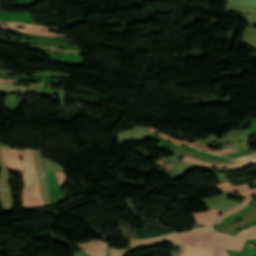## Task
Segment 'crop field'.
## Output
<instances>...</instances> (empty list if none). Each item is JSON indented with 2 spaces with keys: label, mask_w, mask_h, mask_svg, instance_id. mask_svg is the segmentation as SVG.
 <instances>
[{
  "label": "crop field",
  "mask_w": 256,
  "mask_h": 256,
  "mask_svg": "<svg viewBox=\"0 0 256 256\" xmlns=\"http://www.w3.org/2000/svg\"><path fill=\"white\" fill-rule=\"evenodd\" d=\"M212 232L210 228H202L166 236L168 239L186 242L181 256H216L211 247L204 245V239Z\"/></svg>",
  "instance_id": "crop-field-1"
},
{
  "label": "crop field",
  "mask_w": 256,
  "mask_h": 256,
  "mask_svg": "<svg viewBox=\"0 0 256 256\" xmlns=\"http://www.w3.org/2000/svg\"><path fill=\"white\" fill-rule=\"evenodd\" d=\"M246 240L243 239H237L225 235L218 234L214 232L209 237L206 238L205 244L214 246V247H221V248H227V249H233V250H242L243 243ZM214 252L217 254V256H229L228 253L225 251V249L221 248H214Z\"/></svg>",
  "instance_id": "crop-field-2"
},
{
  "label": "crop field",
  "mask_w": 256,
  "mask_h": 256,
  "mask_svg": "<svg viewBox=\"0 0 256 256\" xmlns=\"http://www.w3.org/2000/svg\"><path fill=\"white\" fill-rule=\"evenodd\" d=\"M0 24L17 26V27H23V28H29V29H35V30L50 31L49 27H45V26H42V25H35V24H25V23H17V22H3V21H0ZM0 27H3L4 30H8V31H16V32H22V33L49 35V36H55V37H66V35H56V34H54L52 32L17 29V28L5 27V26H0Z\"/></svg>",
  "instance_id": "crop-field-3"
},
{
  "label": "crop field",
  "mask_w": 256,
  "mask_h": 256,
  "mask_svg": "<svg viewBox=\"0 0 256 256\" xmlns=\"http://www.w3.org/2000/svg\"><path fill=\"white\" fill-rule=\"evenodd\" d=\"M23 209L43 206L42 197L40 194L38 182L33 187L21 191Z\"/></svg>",
  "instance_id": "crop-field-4"
},
{
  "label": "crop field",
  "mask_w": 256,
  "mask_h": 256,
  "mask_svg": "<svg viewBox=\"0 0 256 256\" xmlns=\"http://www.w3.org/2000/svg\"><path fill=\"white\" fill-rule=\"evenodd\" d=\"M22 159L24 162L23 168H24V183L25 187L31 185L34 180L37 178L34 168V158H33V152L30 149L22 150Z\"/></svg>",
  "instance_id": "crop-field-5"
},
{
  "label": "crop field",
  "mask_w": 256,
  "mask_h": 256,
  "mask_svg": "<svg viewBox=\"0 0 256 256\" xmlns=\"http://www.w3.org/2000/svg\"><path fill=\"white\" fill-rule=\"evenodd\" d=\"M0 149L2 151V155L7 168L23 175V169H22L23 163H22L20 151L13 150V149H6V148H0Z\"/></svg>",
  "instance_id": "crop-field-6"
},
{
  "label": "crop field",
  "mask_w": 256,
  "mask_h": 256,
  "mask_svg": "<svg viewBox=\"0 0 256 256\" xmlns=\"http://www.w3.org/2000/svg\"><path fill=\"white\" fill-rule=\"evenodd\" d=\"M221 212L218 209L213 210H207V211H201L197 213H193V216L196 220V222L205 224L207 226H212L215 219Z\"/></svg>",
  "instance_id": "crop-field-7"
},
{
  "label": "crop field",
  "mask_w": 256,
  "mask_h": 256,
  "mask_svg": "<svg viewBox=\"0 0 256 256\" xmlns=\"http://www.w3.org/2000/svg\"><path fill=\"white\" fill-rule=\"evenodd\" d=\"M87 253L91 256H105V244L101 241H90L85 244H80Z\"/></svg>",
  "instance_id": "crop-field-8"
},
{
  "label": "crop field",
  "mask_w": 256,
  "mask_h": 256,
  "mask_svg": "<svg viewBox=\"0 0 256 256\" xmlns=\"http://www.w3.org/2000/svg\"><path fill=\"white\" fill-rule=\"evenodd\" d=\"M182 162L188 163V164L200 165V166H208V167L234 168V167L244 166V165H247V164H249L251 162H255V161H247V162L235 163V164H213V163H207V162L195 160V159L188 158V157L184 156Z\"/></svg>",
  "instance_id": "crop-field-9"
},
{
  "label": "crop field",
  "mask_w": 256,
  "mask_h": 256,
  "mask_svg": "<svg viewBox=\"0 0 256 256\" xmlns=\"http://www.w3.org/2000/svg\"><path fill=\"white\" fill-rule=\"evenodd\" d=\"M32 90L37 91V89L27 88V86L1 85L0 84V94H6V93H33Z\"/></svg>",
  "instance_id": "crop-field-10"
},
{
  "label": "crop field",
  "mask_w": 256,
  "mask_h": 256,
  "mask_svg": "<svg viewBox=\"0 0 256 256\" xmlns=\"http://www.w3.org/2000/svg\"><path fill=\"white\" fill-rule=\"evenodd\" d=\"M129 242H130V246H132V245H141V244H152V243L170 242V243H173L175 245H179L182 248H183V246L185 244L183 242L167 240V237H165V236L160 237V238H156V239H144V240L129 241Z\"/></svg>",
  "instance_id": "crop-field-11"
},
{
  "label": "crop field",
  "mask_w": 256,
  "mask_h": 256,
  "mask_svg": "<svg viewBox=\"0 0 256 256\" xmlns=\"http://www.w3.org/2000/svg\"><path fill=\"white\" fill-rule=\"evenodd\" d=\"M242 42L256 48V28L247 26L242 37Z\"/></svg>",
  "instance_id": "crop-field-12"
},
{
  "label": "crop field",
  "mask_w": 256,
  "mask_h": 256,
  "mask_svg": "<svg viewBox=\"0 0 256 256\" xmlns=\"http://www.w3.org/2000/svg\"><path fill=\"white\" fill-rule=\"evenodd\" d=\"M254 206H256V201L255 202H252L249 206L245 207L244 209L240 210L239 212L231 215V216H228L226 217L225 219H223L220 223H218L216 226L212 227L213 229H218L220 226H222L223 224L229 222L230 220L232 219H235L239 216H241L242 214L248 212L250 209H252Z\"/></svg>",
  "instance_id": "crop-field-13"
},
{
  "label": "crop field",
  "mask_w": 256,
  "mask_h": 256,
  "mask_svg": "<svg viewBox=\"0 0 256 256\" xmlns=\"http://www.w3.org/2000/svg\"><path fill=\"white\" fill-rule=\"evenodd\" d=\"M247 190H251L247 184L232 186L230 183H223V184H219L218 186V191H247Z\"/></svg>",
  "instance_id": "crop-field-14"
},
{
  "label": "crop field",
  "mask_w": 256,
  "mask_h": 256,
  "mask_svg": "<svg viewBox=\"0 0 256 256\" xmlns=\"http://www.w3.org/2000/svg\"><path fill=\"white\" fill-rule=\"evenodd\" d=\"M226 12H242L256 15V7L249 6H228L225 8Z\"/></svg>",
  "instance_id": "crop-field-15"
},
{
  "label": "crop field",
  "mask_w": 256,
  "mask_h": 256,
  "mask_svg": "<svg viewBox=\"0 0 256 256\" xmlns=\"http://www.w3.org/2000/svg\"><path fill=\"white\" fill-rule=\"evenodd\" d=\"M252 195H253V194H252ZM252 195H251V196H252ZM254 195L256 196V193H255ZM251 196H249L248 198L244 199L241 204L237 205L236 207L232 208L231 210H229V211L225 212L223 215H221V216L218 218V220H217L216 223H218V222H219L220 220H222L224 217H226V216H228V215H230V214H232V213H234V212L240 210V209L243 208L244 206L248 205V204L252 201V197H251ZM219 223H220V222H219Z\"/></svg>",
  "instance_id": "crop-field-16"
},
{
  "label": "crop field",
  "mask_w": 256,
  "mask_h": 256,
  "mask_svg": "<svg viewBox=\"0 0 256 256\" xmlns=\"http://www.w3.org/2000/svg\"><path fill=\"white\" fill-rule=\"evenodd\" d=\"M192 146H195V147H198L204 151H207V152H210V153H214V154H218V155H225V154H229V153H234L236 152L235 149H227V150H221V151H216V150H211V149H208L204 146H201L197 143H194L192 144Z\"/></svg>",
  "instance_id": "crop-field-17"
},
{
  "label": "crop field",
  "mask_w": 256,
  "mask_h": 256,
  "mask_svg": "<svg viewBox=\"0 0 256 256\" xmlns=\"http://www.w3.org/2000/svg\"><path fill=\"white\" fill-rule=\"evenodd\" d=\"M150 130L153 131L154 133H156L157 135H159L160 137H162V138H164V139H166V140H168V141H170V142H173L172 144H178V145H183V146H190V145H189L187 142H185V141L174 140L175 138L172 139V138H170V137H168V136H166V135H164V134H162V133H160V132H158V131L152 129L151 127H150Z\"/></svg>",
  "instance_id": "crop-field-18"
},
{
  "label": "crop field",
  "mask_w": 256,
  "mask_h": 256,
  "mask_svg": "<svg viewBox=\"0 0 256 256\" xmlns=\"http://www.w3.org/2000/svg\"><path fill=\"white\" fill-rule=\"evenodd\" d=\"M187 156H190L195 159L203 160V161H208V162H218V163H234L235 161L232 160H215V159H210L202 156H198L195 154H187Z\"/></svg>",
  "instance_id": "crop-field-19"
},
{
  "label": "crop field",
  "mask_w": 256,
  "mask_h": 256,
  "mask_svg": "<svg viewBox=\"0 0 256 256\" xmlns=\"http://www.w3.org/2000/svg\"><path fill=\"white\" fill-rule=\"evenodd\" d=\"M254 233H256V225H254L250 228H247L245 230H242V231L236 233L234 236L246 238Z\"/></svg>",
  "instance_id": "crop-field-20"
},
{
  "label": "crop field",
  "mask_w": 256,
  "mask_h": 256,
  "mask_svg": "<svg viewBox=\"0 0 256 256\" xmlns=\"http://www.w3.org/2000/svg\"><path fill=\"white\" fill-rule=\"evenodd\" d=\"M27 48L30 49H41V50H52L56 51L55 47H50V46H37V45H26Z\"/></svg>",
  "instance_id": "crop-field-21"
},
{
  "label": "crop field",
  "mask_w": 256,
  "mask_h": 256,
  "mask_svg": "<svg viewBox=\"0 0 256 256\" xmlns=\"http://www.w3.org/2000/svg\"><path fill=\"white\" fill-rule=\"evenodd\" d=\"M111 256H123L125 253L129 252V249H124V250H116V249H111Z\"/></svg>",
  "instance_id": "crop-field-22"
},
{
  "label": "crop field",
  "mask_w": 256,
  "mask_h": 256,
  "mask_svg": "<svg viewBox=\"0 0 256 256\" xmlns=\"http://www.w3.org/2000/svg\"><path fill=\"white\" fill-rule=\"evenodd\" d=\"M56 174H57V179H58V183H59V184L67 181L64 171L58 172V173H56Z\"/></svg>",
  "instance_id": "crop-field-23"
},
{
  "label": "crop field",
  "mask_w": 256,
  "mask_h": 256,
  "mask_svg": "<svg viewBox=\"0 0 256 256\" xmlns=\"http://www.w3.org/2000/svg\"><path fill=\"white\" fill-rule=\"evenodd\" d=\"M256 157V153H253L251 155H248V156H244V157H241V158H237L236 160H247V159H253Z\"/></svg>",
  "instance_id": "crop-field-24"
},
{
  "label": "crop field",
  "mask_w": 256,
  "mask_h": 256,
  "mask_svg": "<svg viewBox=\"0 0 256 256\" xmlns=\"http://www.w3.org/2000/svg\"><path fill=\"white\" fill-rule=\"evenodd\" d=\"M60 52H68V53H76V54H81L79 50H66V49H57Z\"/></svg>",
  "instance_id": "crop-field-25"
},
{
  "label": "crop field",
  "mask_w": 256,
  "mask_h": 256,
  "mask_svg": "<svg viewBox=\"0 0 256 256\" xmlns=\"http://www.w3.org/2000/svg\"><path fill=\"white\" fill-rule=\"evenodd\" d=\"M254 191L255 190L248 191V192H239V197H246V196H248L250 193H252Z\"/></svg>",
  "instance_id": "crop-field-26"
},
{
  "label": "crop field",
  "mask_w": 256,
  "mask_h": 256,
  "mask_svg": "<svg viewBox=\"0 0 256 256\" xmlns=\"http://www.w3.org/2000/svg\"><path fill=\"white\" fill-rule=\"evenodd\" d=\"M0 83H16V84H18L16 80H5V79H0Z\"/></svg>",
  "instance_id": "crop-field-27"
},
{
  "label": "crop field",
  "mask_w": 256,
  "mask_h": 256,
  "mask_svg": "<svg viewBox=\"0 0 256 256\" xmlns=\"http://www.w3.org/2000/svg\"><path fill=\"white\" fill-rule=\"evenodd\" d=\"M15 39L16 38H12L11 42H16ZM0 41H2V42H9V41H7V39H4V38H0Z\"/></svg>",
  "instance_id": "crop-field-28"
},
{
  "label": "crop field",
  "mask_w": 256,
  "mask_h": 256,
  "mask_svg": "<svg viewBox=\"0 0 256 256\" xmlns=\"http://www.w3.org/2000/svg\"><path fill=\"white\" fill-rule=\"evenodd\" d=\"M248 238H256V234H254V235H252V236H250Z\"/></svg>",
  "instance_id": "crop-field-29"
},
{
  "label": "crop field",
  "mask_w": 256,
  "mask_h": 256,
  "mask_svg": "<svg viewBox=\"0 0 256 256\" xmlns=\"http://www.w3.org/2000/svg\"><path fill=\"white\" fill-rule=\"evenodd\" d=\"M255 193V192H254Z\"/></svg>",
  "instance_id": "crop-field-30"
}]
</instances>
